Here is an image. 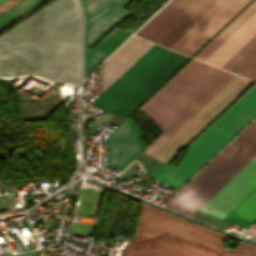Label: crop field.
Instances as JSON below:
<instances>
[{
    "instance_id": "obj_1",
    "label": "crop field",
    "mask_w": 256,
    "mask_h": 256,
    "mask_svg": "<svg viewBox=\"0 0 256 256\" xmlns=\"http://www.w3.org/2000/svg\"><path fill=\"white\" fill-rule=\"evenodd\" d=\"M80 67L78 0H56L0 36V75L74 78L80 77ZM67 82L80 84V79Z\"/></svg>"
},
{
    "instance_id": "obj_2",
    "label": "crop field",
    "mask_w": 256,
    "mask_h": 256,
    "mask_svg": "<svg viewBox=\"0 0 256 256\" xmlns=\"http://www.w3.org/2000/svg\"><path fill=\"white\" fill-rule=\"evenodd\" d=\"M226 236L143 204L135 237L124 256H256L241 243L223 247Z\"/></svg>"
},
{
    "instance_id": "obj_3",
    "label": "crop field",
    "mask_w": 256,
    "mask_h": 256,
    "mask_svg": "<svg viewBox=\"0 0 256 256\" xmlns=\"http://www.w3.org/2000/svg\"><path fill=\"white\" fill-rule=\"evenodd\" d=\"M188 59L154 44L94 104L125 118Z\"/></svg>"
},
{
    "instance_id": "obj_4",
    "label": "crop field",
    "mask_w": 256,
    "mask_h": 256,
    "mask_svg": "<svg viewBox=\"0 0 256 256\" xmlns=\"http://www.w3.org/2000/svg\"><path fill=\"white\" fill-rule=\"evenodd\" d=\"M256 117V84L190 146L177 169L167 165L154 178L178 189Z\"/></svg>"
},
{
    "instance_id": "obj_5",
    "label": "crop field",
    "mask_w": 256,
    "mask_h": 256,
    "mask_svg": "<svg viewBox=\"0 0 256 256\" xmlns=\"http://www.w3.org/2000/svg\"><path fill=\"white\" fill-rule=\"evenodd\" d=\"M250 83L228 73L144 152L166 162Z\"/></svg>"
},
{
    "instance_id": "obj_6",
    "label": "crop field",
    "mask_w": 256,
    "mask_h": 256,
    "mask_svg": "<svg viewBox=\"0 0 256 256\" xmlns=\"http://www.w3.org/2000/svg\"><path fill=\"white\" fill-rule=\"evenodd\" d=\"M226 74L193 59L139 110L164 131Z\"/></svg>"
},
{
    "instance_id": "obj_7",
    "label": "crop field",
    "mask_w": 256,
    "mask_h": 256,
    "mask_svg": "<svg viewBox=\"0 0 256 256\" xmlns=\"http://www.w3.org/2000/svg\"><path fill=\"white\" fill-rule=\"evenodd\" d=\"M248 139L256 142V132ZM251 141L236 138L165 206L191 216L256 156Z\"/></svg>"
},
{
    "instance_id": "obj_8",
    "label": "crop field",
    "mask_w": 256,
    "mask_h": 256,
    "mask_svg": "<svg viewBox=\"0 0 256 256\" xmlns=\"http://www.w3.org/2000/svg\"><path fill=\"white\" fill-rule=\"evenodd\" d=\"M194 58L256 81V0Z\"/></svg>"
},
{
    "instance_id": "obj_9",
    "label": "crop field",
    "mask_w": 256,
    "mask_h": 256,
    "mask_svg": "<svg viewBox=\"0 0 256 256\" xmlns=\"http://www.w3.org/2000/svg\"><path fill=\"white\" fill-rule=\"evenodd\" d=\"M219 0H202L157 44L168 47ZM251 0H220L169 48L192 56Z\"/></svg>"
},
{
    "instance_id": "obj_10",
    "label": "crop field",
    "mask_w": 256,
    "mask_h": 256,
    "mask_svg": "<svg viewBox=\"0 0 256 256\" xmlns=\"http://www.w3.org/2000/svg\"><path fill=\"white\" fill-rule=\"evenodd\" d=\"M131 0H82L85 12V67L84 77L111 54L129 35L116 28L98 45L87 51L113 25L130 15L121 7Z\"/></svg>"
},
{
    "instance_id": "obj_11",
    "label": "crop field",
    "mask_w": 256,
    "mask_h": 256,
    "mask_svg": "<svg viewBox=\"0 0 256 256\" xmlns=\"http://www.w3.org/2000/svg\"><path fill=\"white\" fill-rule=\"evenodd\" d=\"M256 187V157L220 189L199 210L222 218ZM223 219L247 227L256 219V188L239 202Z\"/></svg>"
},
{
    "instance_id": "obj_12",
    "label": "crop field",
    "mask_w": 256,
    "mask_h": 256,
    "mask_svg": "<svg viewBox=\"0 0 256 256\" xmlns=\"http://www.w3.org/2000/svg\"><path fill=\"white\" fill-rule=\"evenodd\" d=\"M153 43L132 36L102 64V92L129 68Z\"/></svg>"
},
{
    "instance_id": "obj_13",
    "label": "crop field",
    "mask_w": 256,
    "mask_h": 256,
    "mask_svg": "<svg viewBox=\"0 0 256 256\" xmlns=\"http://www.w3.org/2000/svg\"><path fill=\"white\" fill-rule=\"evenodd\" d=\"M144 149L136 125L128 119L110 137L109 163L124 169Z\"/></svg>"
},
{
    "instance_id": "obj_14",
    "label": "crop field",
    "mask_w": 256,
    "mask_h": 256,
    "mask_svg": "<svg viewBox=\"0 0 256 256\" xmlns=\"http://www.w3.org/2000/svg\"><path fill=\"white\" fill-rule=\"evenodd\" d=\"M201 0H170L135 35L156 42Z\"/></svg>"
},
{
    "instance_id": "obj_15",
    "label": "crop field",
    "mask_w": 256,
    "mask_h": 256,
    "mask_svg": "<svg viewBox=\"0 0 256 256\" xmlns=\"http://www.w3.org/2000/svg\"><path fill=\"white\" fill-rule=\"evenodd\" d=\"M44 0H22L10 9L0 14V28L21 16L28 10L40 4Z\"/></svg>"
},
{
    "instance_id": "obj_16",
    "label": "crop field",
    "mask_w": 256,
    "mask_h": 256,
    "mask_svg": "<svg viewBox=\"0 0 256 256\" xmlns=\"http://www.w3.org/2000/svg\"><path fill=\"white\" fill-rule=\"evenodd\" d=\"M248 128V127H247ZM246 128V129H247ZM256 131V121L247 129L245 130L240 137H243L245 139H247L253 132Z\"/></svg>"
},
{
    "instance_id": "obj_17",
    "label": "crop field",
    "mask_w": 256,
    "mask_h": 256,
    "mask_svg": "<svg viewBox=\"0 0 256 256\" xmlns=\"http://www.w3.org/2000/svg\"><path fill=\"white\" fill-rule=\"evenodd\" d=\"M18 1H20V0H7L6 2L2 3L0 5V13H2L3 11L8 9L12 5H14L15 3H17Z\"/></svg>"
},
{
    "instance_id": "obj_18",
    "label": "crop field",
    "mask_w": 256,
    "mask_h": 256,
    "mask_svg": "<svg viewBox=\"0 0 256 256\" xmlns=\"http://www.w3.org/2000/svg\"><path fill=\"white\" fill-rule=\"evenodd\" d=\"M245 233L253 236L251 238V240L256 241V227L255 226H251Z\"/></svg>"
},
{
    "instance_id": "obj_19",
    "label": "crop field",
    "mask_w": 256,
    "mask_h": 256,
    "mask_svg": "<svg viewBox=\"0 0 256 256\" xmlns=\"http://www.w3.org/2000/svg\"><path fill=\"white\" fill-rule=\"evenodd\" d=\"M15 256H31V251L26 252V253H22V254H19V255H15Z\"/></svg>"
},
{
    "instance_id": "obj_20",
    "label": "crop field",
    "mask_w": 256,
    "mask_h": 256,
    "mask_svg": "<svg viewBox=\"0 0 256 256\" xmlns=\"http://www.w3.org/2000/svg\"><path fill=\"white\" fill-rule=\"evenodd\" d=\"M4 1H6V0H0V4H1L2 2H4Z\"/></svg>"
},
{
    "instance_id": "obj_21",
    "label": "crop field",
    "mask_w": 256,
    "mask_h": 256,
    "mask_svg": "<svg viewBox=\"0 0 256 256\" xmlns=\"http://www.w3.org/2000/svg\"><path fill=\"white\" fill-rule=\"evenodd\" d=\"M255 225H256V223H255Z\"/></svg>"
}]
</instances>
